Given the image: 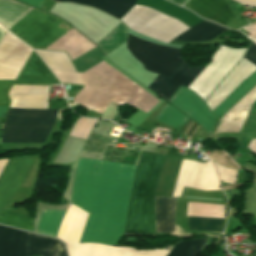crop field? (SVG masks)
<instances>
[{
    "instance_id": "obj_1",
    "label": "crop field",
    "mask_w": 256,
    "mask_h": 256,
    "mask_svg": "<svg viewBox=\"0 0 256 256\" xmlns=\"http://www.w3.org/2000/svg\"><path fill=\"white\" fill-rule=\"evenodd\" d=\"M134 170L79 159L71 203L90 213L81 242L115 245L123 236Z\"/></svg>"
},
{
    "instance_id": "obj_2",
    "label": "crop field",
    "mask_w": 256,
    "mask_h": 256,
    "mask_svg": "<svg viewBox=\"0 0 256 256\" xmlns=\"http://www.w3.org/2000/svg\"><path fill=\"white\" fill-rule=\"evenodd\" d=\"M52 71L61 82L87 85L112 102L125 101L146 113L159 102L103 61L83 73Z\"/></svg>"
},
{
    "instance_id": "obj_3",
    "label": "crop field",
    "mask_w": 256,
    "mask_h": 256,
    "mask_svg": "<svg viewBox=\"0 0 256 256\" xmlns=\"http://www.w3.org/2000/svg\"><path fill=\"white\" fill-rule=\"evenodd\" d=\"M165 156L141 152L125 235L155 237L154 192Z\"/></svg>"
},
{
    "instance_id": "obj_4",
    "label": "crop field",
    "mask_w": 256,
    "mask_h": 256,
    "mask_svg": "<svg viewBox=\"0 0 256 256\" xmlns=\"http://www.w3.org/2000/svg\"><path fill=\"white\" fill-rule=\"evenodd\" d=\"M88 213L70 205L57 237L67 243L70 256H166V250L137 251L98 244H78Z\"/></svg>"
},
{
    "instance_id": "obj_5",
    "label": "crop field",
    "mask_w": 256,
    "mask_h": 256,
    "mask_svg": "<svg viewBox=\"0 0 256 256\" xmlns=\"http://www.w3.org/2000/svg\"><path fill=\"white\" fill-rule=\"evenodd\" d=\"M57 110L9 108L1 142L44 143Z\"/></svg>"
},
{
    "instance_id": "obj_6",
    "label": "crop field",
    "mask_w": 256,
    "mask_h": 256,
    "mask_svg": "<svg viewBox=\"0 0 256 256\" xmlns=\"http://www.w3.org/2000/svg\"><path fill=\"white\" fill-rule=\"evenodd\" d=\"M71 29L63 20L34 9L9 31L31 47L45 48Z\"/></svg>"
},
{
    "instance_id": "obj_7",
    "label": "crop field",
    "mask_w": 256,
    "mask_h": 256,
    "mask_svg": "<svg viewBox=\"0 0 256 256\" xmlns=\"http://www.w3.org/2000/svg\"><path fill=\"white\" fill-rule=\"evenodd\" d=\"M14 229L0 226V256H32L38 253L44 256L66 254L62 243L57 239Z\"/></svg>"
},
{
    "instance_id": "obj_8",
    "label": "crop field",
    "mask_w": 256,
    "mask_h": 256,
    "mask_svg": "<svg viewBox=\"0 0 256 256\" xmlns=\"http://www.w3.org/2000/svg\"><path fill=\"white\" fill-rule=\"evenodd\" d=\"M127 48L143 64L144 69L168 78L184 63L180 51L140 40L129 34Z\"/></svg>"
},
{
    "instance_id": "obj_9",
    "label": "crop field",
    "mask_w": 256,
    "mask_h": 256,
    "mask_svg": "<svg viewBox=\"0 0 256 256\" xmlns=\"http://www.w3.org/2000/svg\"><path fill=\"white\" fill-rule=\"evenodd\" d=\"M246 49L236 50L219 47L208 66L187 87L204 102L214 91L226 74L242 58Z\"/></svg>"
},
{
    "instance_id": "obj_10",
    "label": "crop field",
    "mask_w": 256,
    "mask_h": 256,
    "mask_svg": "<svg viewBox=\"0 0 256 256\" xmlns=\"http://www.w3.org/2000/svg\"><path fill=\"white\" fill-rule=\"evenodd\" d=\"M184 186L205 191L221 190L213 163L182 160L172 197H180Z\"/></svg>"
},
{
    "instance_id": "obj_11",
    "label": "crop field",
    "mask_w": 256,
    "mask_h": 256,
    "mask_svg": "<svg viewBox=\"0 0 256 256\" xmlns=\"http://www.w3.org/2000/svg\"><path fill=\"white\" fill-rule=\"evenodd\" d=\"M31 51L6 31L0 43V80H15Z\"/></svg>"
},
{
    "instance_id": "obj_12",
    "label": "crop field",
    "mask_w": 256,
    "mask_h": 256,
    "mask_svg": "<svg viewBox=\"0 0 256 256\" xmlns=\"http://www.w3.org/2000/svg\"><path fill=\"white\" fill-rule=\"evenodd\" d=\"M168 102L201 123L209 135L218 123V120L209 113L202 101L182 86L179 87Z\"/></svg>"
},
{
    "instance_id": "obj_13",
    "label": "crop field",
    "mask_w": 256,
    "mask_h": 256,
    "mask_svg": "<svg viewBox=\"0 0 256 256\" xmlns=\"http://www.w3.org/2000/svg\"><path fill=\"white\" fill-rule=\"evenodd\" d=\"M35 156L10 159L0 176V211L24 180Z\"/></svg>"
},
{
    "instance_id": "obj_14",
    "label": "crop field",
    "mask_w": 256,
    "mask_h": 256,
    "mask_svg": "<svg viewBox=\"0 0 256 256\" xmlns=\"http://www.w3.org/2000/svg\"><path fill=\"white\" fill-rule=\"evenodd\" d=\"M204 68L190 67L185 62L169 79L157 75L148 88L168 101L180 84L187 87Z\"/></svg>"
},
{
    "instance_id": "obj_15",
    "label": "crop field",
    "mask_w": 256,
    "mask_h": 256,
    "mask_svg": "<svg viewBox=\"0 0 256 256\" xmlns=\"http://www.w3.org/2000/svg\"><path fill=\"white\" fill-rule=\"evenodd\" d=\"M234 69V68H233ZM256 71V66L246 59L235 67V69L222 81L215 92L206 102L211 112L249 75Z\"/></svg>"
},
{
    "instance_id": "obj_16",
    "label": "crop field",
    "mask_w": 256,
    "mask_h": 256,
    "mask_svg": "<svg viewBox=\"0 0 256 256\" xmlns=\"http://www.w3.org/2000/svg\"><path fill=\"white\" fill-rule=\"evenodd\" d=\"M256 101V86L247 93L236 105L220 118V124L213 134L232 132L239 133L248 110L253 102Z\"/></svg>"
},
{
    "instance_id": "obj_17",
    "label": "crop field",
    "mask_w": 256,
    "mask_h": 256,
    "mask_svg": "<svg viewBox=\"0 0 256 256\" xmlns=\"http://www.w3.org/2000/svg\"><path fill=\"white\" fill-rule=\"evenodd\" d=\"M184 7L223 26L234 18L224 0H190Z\"/></svg>"
},
{
    "instance_id": "obj_18",
    "label": "crop field",
    "mask_w": 256,
    "mask_h": 256,
    "mask_svg": "<svg viewBox=\"0 0 256 256\" xmlns=\"http://www.w3.org/2000/svg\"><path fill=\"white\" fill-rule=\"evenodd\" d=\"M93 47L95 45L73 29L47 48L67 51L73 60Z\"/></svg>"
},
{
    "instance_id": "obj_19",
    "label": "crop field",
    "mask_w": 256,
    "mask_h": 256,
    "mask_svg": "<svg viewBox=\"0 0 256 256\" xmlns=\"http://www.w3.org/2000/svg\"><path fill=\"white\" fill-rule=\"evenodd\" d=\"M176 199L155 197L156 233L174 232Z\"/></svg>"
},
{
    "instance_id": "obj_20",
    "label": "crop field",
    "mask_w": 256,
    "mask_h": 256,
    "mask_svg": "<svg viewBox=\"0 0 256 256\" xmlns=\"http://www.w3.org/2000/svg\"><path fill=\"white\" fill-rule=\"evenodd\" d=\"M34 8L13 0H0V23L8 30Z\"/></svg>"
},
{
    "instance_id": "obj_21",
    "label": "crop field",
    "mask_w": 256,
    "mask_h": 256,
    "mask_svg": "<svg viewBox=\"0 0 256 256\" xmlns=\"http://www.w3.org/2000/svg\"><path fill=\"white\" fill-rule=\"evenodd\" d=\"M226 30L215 23L209 21H202L186 32L180 34L174 40L179 41H206L218 36L221 32Z\"/></svg>"
},
{
    "instance_id": "obj_22",
    "label": "crop field",
    "mask_w": 256,
    "mask_h": 256,
    "mask_svg": "<svg viewBox=\"0 0 256 256\" xmlns=\"http://www.w3.org/2000/svg\"><path fill=\"white\" fill-rule=\"evenodd\" d=\"M70 1L98 8L120 19L136 0H56Z\"/></svg>"
},
{
    "instance_id": "obj_23",
    "label": "crop field",
    "mask_w": 256,
    "mask_h": 256,
    "mask_svg": "<svg viewBox=\"0 0 256 256\" xmlns=\"http://www.w3.org/2000/svg\"><path fill=\"white\" fill-rule=\"evenodd\" d=\"M256 85V72L244 80L212 113L219 119Z\"/></svg>"
},
{
    "instance_id": "obj_24",
    "label": "crop field",
    "mask_w": 256,
    "mask_h": 256,
    "mask_svg": "<svg viewBox=\"0 0 256 256\" xmlns=\"http://www.w3.org/2000/svg\"><path fill=\"white\" fill-rule=\"evenodd\" d=\"M65 212L66 211L43 210L37 232L56 237Z\"/></svg>"
},
{
    "instance_id": "obj_25",
    "label": "crop field",
    "mask_w": 256,
    "mask_h": 256,
    "mask_svg": "<svg viewBox=\"0 0 256 256\" xmlns=\"http://www.w3.org/2000/svg\"><path fill=\"white\" fill-rule=\"evenodd\" d=\"M20 76L24 77H35V78H45L54 79L56 78L46 67V65L39 59V57L33 51L31 57L29 58L27 64L22 70Z\"/></svg>"
},
{
    "instance_id": "obj_26",
    "label": "crop field",
    "mask_w": 256,
    "mask_h": 256,
    "mask_svg": "<svg viewBox=\"0 0 256 256\" xmlns=\"http://www.w3.org/2000/svg\"><path fill=\"white\" fill-rule=\"evenodd\" d=\"M0 224L33 232L34 218L3 209L0 213Z\"/></svg>"
},
{
    "instance_id": "obj_27",
    "label": "crop field",
    "mask_w": 256,
    "mask_h": 256,
    "mask_svg": "<svg viewBox=\"0 0 256 256\" xmlns=\"http://www.w3.org/2000/svg\"><path fill=\"white\" fill-rule=\"evenodd\" d=\"M189 230L222 232L224 219L187 217Z\"/></svg>"
},
{
    "instance_id": "obj_28",
    "label": "crop field",
    "mask_w": 256,
    "mask_h": 256,
    "mask_svg": "<svg viewBox=\"0 0 256 256\" xmlns=\"http://www.w3.org/2000/svg\"><path fill=\"white\" fill-rule=\"evenodd\" d=\"M126 40V26L121 23L112 30L97 46L101 48L104 55ZM122 44V43H121Z\"/></svg>"
},
{
    "instance_id": "obj_29",
    "label": "crop field",
    "mask_w": 256,
    "mask_h": 256,
    "mask_svg": "<svg viewBox=\"0 0 256 256\" xmlns=\"http://www.w3.org/2000/svg\"><path fill=\"white\" fill-rule=\"evenodd\" d=\"M187 119L188 118H186L184 115H182L180 112L175 110L167 103L155 117V120L178 129L181 128V126L186 122Z\"/></svg>"
},
{
    "instance_id": "obj_30",
    "label": "crop field",
    "mask_w": 256,
    "mask_h": 256,
    "mask_svg": "<svg viewBox=\"0 0 256 256\" xmlns=\"http://www.w3.org/2000/svg\"><path fill=\"white\" fill-rule=\"evenodd\" d=\"M101 54L97 48L85 53L79 58L72 61L77 72H83L98 62L102 61Z\"/></svg>"
},
{
    "instance_id": "obj_31",
    "label": "crop field",
    "mask_w": 256,
    "mask_h": 256,
    "mask_svg": "<svg viewBox=\"0 0 256 256\" xmlns=\"http://www.w3.org/2000/svg\"><path fill=\"white\" fill-rule=\"evenodd\" d=\"M205 240L206 239L194 240V242L193 240L179 242L172 248L168 256H182L192 242L193 243L183 256H194Z\"/></svg>"
},
{
    "instance_id": "obj_32",
    "label": "crop field",
    "mask_w": 256,
    "mask_h": 256,
    "mask_svg": "<svg viewBox=\"0 0 256 256\" xmlns=\"http://www.w3.org/2000/svg\"><path fill=\"white\" fill-rule=\"evenodd\" d=\"M95 122L96 120L80 118L74 124L69 135L86 139Z\"/></svg>"
},
{
    "instance_id": "obj_33",
    "label": "crop field",
    "mask_w": 256,
    "mask_h": 256,
    "mask_svg": "<svg viewBox=\"0 0 256 256\" xmlns=\"http://www.w3.org/2000/svg\"><path fill=\"white\" fill-rule=\"evenodd\" d=\"M208 157L219 162L223 166L233 168V169H240L237 163L232 158H230L226 153H224L222 150L220 151L213 150Z\"/></svg>"
},
{
    "instance_id": "obj_34",
    "label": "crop field",
    "mask_w": 256,
    "mask_h": 256,
    "mask_svg": "<svg viewBox=\"0 0 256 256\" xmlns=\"http://www.w3.org/2000/svg\"><path fill=\"white\" fill-rule=\"evenodd\" d=\"M214 164L217 168L219 178L221 181L228 182V183H235L236 170L226 169L216 163Z\"/></svg>"
},
{
    "instance_id": "obj_35",
    "label": "crop field",
    "mask_w": 256,
    "mask_h": 256,
    "mask_svg": "<svg viewBox=\"0 0 256 256\" xmlns=\"http://www.w3.org/2000/svg\"><path fill=\"white\" fill-rule=\"evenodd\" d=\"M13 81H0V106H8L9 100L6 92L10 88Z\"/></svg>"
},
{
    "instance_id": "obj_36",
    "label": "crop field",
    "mask_w": 256,
    "mask_h": 256,
    "mask_svg": "<svg viewBox=\"0 0 256 256\" xmlns=\"http://www.w3.org/2000/svg\"><path fill=\"white\" fill-rule=\"evenodd\" d=\"M15 83H32V84H58L54 80H45V79H34V78H24L18 77Z\"/></svg>"
},
{
    "instance_id": "obj_37",
    "label": "crop field",
    "mask_w": 256,
    "mask_h": 256,
    "mask_svg": "<svg viewBox=\"0 0 256 256\" xmlns=\"http://www.w3.org/2000/svg\"><path fill=\"white\" fill-rule=\"evenodd\" d=\"M247 60L256 65V45L252 42L245 57Z\"/></svg>"
},
{
    "instance_id": "obj_38",
    "label": "crop field",
    "mask_w": 256,
    "mask_h": 256,
    "mask_svg": "<svg viewBox=\"0 0 256 256\" xmlns=\"http://www.w3.org/2000/svg\"><path fill=\"white\" fill-rule=\"evenodd\" d=\"M244 30H246L249 34H251L253 37H251V39L256 42V24L252 25V26H246L243 28Z\"/></svg>"
},
{
    "instance_id": "obj_39",
    "label": "crop field",
    "mask_w": 256,
    "mask_h": 256,
    "mask_svg": "<svg viewBox=\"0 0 256 256\" xmlns=\"http://www.w3.org/2000/svg\"><path fill=\"white\" fill-rule=\"evenodd\" d=\"M18 1L30 4L32 6H35L41 9L44 0H18Z\"/></svg>"
},
{
    "instance_id": "obj_40",
    "label": "crop field",
    "mask_w": 256,
    "mask_h": 256,
    "mask_svg": "<svg viewBox=\"0 0 256 256\" xmlns=\"http://www.w3.org/2000/svg\"><path fill=\"white\" fill-rule=\"evenodd\" d=\"M244 5H253L256 6V0H236Z\"/></svg>"
},
{
    "instance_id": "obj_41",
    "label": "crop field",
    "mask_w": 256,
    "mask_h": 256,
    "mask_svg": "<svg viewBox=\"0 0 256 256\" xmlns=\"http://www.w3.org/2000/svg\"><path fill=\"white\" fill-rule=\"evenodd\" d=\"M248 147L250 150L256 153V139L252 140Z\"/></svg>"
},
{
    "instance_id": "obj_42",
    "label": "crop field",
    "mask_w": 256,
    "mask_h": 256,
    "mask_svg": "<svg viewBox=\"0 0 256 256\" xmlns=\"http://www.w3.org/2000/svg\"><path fill=\"white\" fill-rule=\"evenodd\" d=\"M8 159L6 160H0V173L2 172L4 166L6 165Z\"/></svg>"
},
{
    "instance_id": "obj_43",
    "label": "crop field",
    "mask_w": 256,
    "mask_h": 256,
    "mask_svg": "<svg viewBox=\"0 0 256 256\" xmlns=\"http://www.w3.org/2000/svg\"><path fill=\"white\" fill-rule=\"evenodd\" d=\"M170 1L175 2V3H177V4H183V2H184L185 0H170Z\"/></svg>"
},
{
    "instance_id": "obj_44",
    "label": "crop field",
    "mask_w": 256,
    "mask_h": 256,
    "mask_svg": "<svg viewBox=\"0 0 256 256\" xmlns=\"http://www.w3.org/2000/svg\"><path fill=\"white\" fill-rule=\"evenodd\" d=\"M6 108H7V107H0V117L3 116L4 110H5Z\"/></svg>"
},
{
    "instance_id": "obj_45",
    "label": "crop field",
    "mask_w": 256,
    "mask_h": 256,
    "mask_svg": "<svg viewBox=\"0 0 256 256\" xmlns=\"http://www.w3.org/2000/svg\"><path fill=\"white\" fill-rule=\"evenodd\" d=\"M3 32H2V30H1V28H0V40H1V38L3 37Z\"/></svg>"
},
{
    "instance_id": "obj_46",
    "label": "crop field",
    "mask_w": 256,
    "mask_h": 256,
    "mask_svg": "<svg viewBox=\"0 0 256 256\" xmlns=\"http://www.w3.org/2000/svg\"><path fill=\"white\" fill-rule=\"evenodd\" d=\"M0 123H1V118H0Z\"/></svg>"
}]
</instances>
